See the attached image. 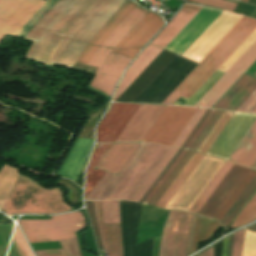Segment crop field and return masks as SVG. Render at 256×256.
I'll list each match as a JSON object with an SVG mask.
<instances>
[{"label": "crop field", "instance_id": "crop-field-59", "mask_svg": "<svg viewBox=\"0 0 256 256\" xmlns=\"http://www.w3.org/2000/svg\"><path fill=\"white\" fill-rule=\"evenodd\" d=\"M241 1H242V2H246V3H248V1H249V0H241Z\"/></svg>", "mask_w": 256, "mask_h": 256}, {"label": "crop field", "instance_id": "crop-field-27", "mask_svg": "<svg viewBox=\"0 0 256 256\" xmlns=\"http://www.w3.org/2000/svg\"><path fill=\"white\" fill-rule=\"evenodd\" d=\"M59 242L62 246V249L35 251L37 256H58V255L81 256L76 238L62 240Z\"/></svg>", "mask_w": 256, "mask_h": 256}, {"label": "crop field", "instance_id": "crop-field-50", "mask_svg": "<svg viewBox=\"0 0 256 256\" xmlns=\"http://www.w3.org/2000/svg\"><path fill=\"white\" fill-rule=\"evenodd\" d=\"M210 112V110H206V112L204 113V115L201 117V119L199 120V122L197 123V125L195 126V128L192 130V132L190 133V135L188 136V138L186 139V141L183 143V145L181 146L182 149H184V147L186 146V144L189 142V140L191 139V137L193 136V134L196 132V130L198 129V127L200 126V124L203 122V120L205 119V117L207 116V114Z\"/></svg>", "mask_w": 256, "mask_h": 256}, {"label": "crop field", "instance_id": "crop-field-6", "mask_svg": "<svg viewBox=\"0 0 256 256\" xmlns=\"http://www.w3.org/2000/svg\"><path fill=\"white\" fill-rule=\"evenodd\" d=\"M29 241H53L76 237L74 232L85 227L79 212L52 216V220H19Z\"/></svg>", "mask_w": 256, "mask_h": 256}, {"label": "crop field", "instance_id": "crop-field-11", "mask_svg": "<svg viewBox=\"0 0 256 256\" xmlns=\"http://www.w3.org/2000/svg\"><path fill=\"white\" fill-rule=\"evenodd\" d=\"M241 18L239 15L222 12L183 56L199 63Z\"/></svg>", "mask_w": 256, "mask_h": 256}, {"label": "crop field", "instance_id": "crop-field-31", "mask_svg": "<svg viewBox=\"0 0 256 256\" xmlns=\"http://www.w3.org/2000/svg\"><path fill=\"white\" fill-rule=\"evenodd\" d=\"M255 175H256V171L251 170L250 173L247 175V177L243 180L240 186L236 189V191L230 197V199L226 202L223 208L216 215L215 219H217L219 222L221 221V219L224 217V215L227 213L230 207L234 204V202L237 200V198L240 196V194L247 187V185L250 183V181L253 179Z\"/></svg>", "mask_w": 256, "mask_h": 256}, {"label": "crop field", "instance_id": "crop-field-35", "mask_svg": "<svg viewBox=\"0 0 256 256\" xmlns=\"http://www.w3.org/2000/svg\"><path fill=\"white\" fill-rule=\"evenodd\" d=\"M104 223H120L119 201L102 202Z\"/></svg>", "mask_w": 256, "mask_h": 256}, {"label": "crop field", "instance_id": "crop-field-25", "mask_svg": "<svg viewBox=\"0 0 256 256\" xmlns=\"http://www.w3.org/2000/svg\"><path fill=\"white\" fill-rule=\"evenodd\" d=\"M178 149L170 148L166 155L162 158L156 168L152 171L149 177L145 180L139 190L132 197L131 201L138 202L142 195L146 192L149 186L153 183L156 177L160 174L163 168L167 165L170 159L174 156Z\"/></svg>", "mask_w": 256, "mask_h": 256}, {"label": "crop field", "instance_id": "crop-field-60", "mask_svg": "<svg viewBox=\"0 0 256 256\" xmlns=\"http://www.w3.org/2000/svg\"><path fill=\"white\" fill-rule=\"evenodd\" d=\"M256 112V111H255Z\"/></svg>", "mask_w": 256, "mask_h": 256}, {"label": "crop field", "instance_id": "crop-field-36", "mask_svg": "<svg viewBox=\"0 0 256 256\" xmlns=\"http://www.w3.org/2000/svg\"><path fill=\"white\" fill-rule=\"evenodd\" d=\"M255 159H256V134L252 138V140L249 142V144L244 149V151L242 152V154L239 156V158L236 160L235 163L250 168V166L253 164Z\"/></svg>", "mask_w": 256, "mask_h": 256}, {"label": "crop field", "instance_id": "crop-field-7", "mask_svg": "<svg viewBox=\"0 0 256 256\" xmlns=\"http://www.w3.org/2000/svg\"><path fill=\"white\" fill-rule=\"evenodd\" d=\"M224 163V161L204 155L165 209L188 211Z\"/></svg>", "mask_w": 256, "mask_h": 256}, {"label": "crop field", "instance_id": "crop-field-21", "mask_svg": "<svg viewBox=\"0 0 256 256\" xmlns=\"http://www.w3.org/2000/svg\"><path fill=\"white\" fill-rule=\"evenodd\" d=\"M139 144H113L97 168L117 174Z\"/></svg>", "mask_w": 256, "mask_h": 256}, {"label": "crop field", "instance_id": "crop-field-54", "mask_svg": "<svg viewBox=\"0 0 256 256\" xmlns=\"http://www.w3.org/2000/svg\"><path fill=\"white\" fill-rule=\"evenodd\" d=\"M234 236V235H233ZM233 236L230 237V244H229V251L228 256H231V250H232V242H233Z\"/></svg>", "mask_w": 256, "mask_h": 256}, {"label": "crop field", "instance_id": "crop-field-26", "mask_svg": "<svg viewBox=\"0 0 256 256\" xmlns=\"http://www.w3.org/2000/svg\"><path fill=\"white\" fill-rule=\"evenodd\" d=\"M193 154L194 152H186V154L183 156V158L180 160V162L177 164V166L174 168V170L171 172L168 178L164 181V183L161 185V187L149 201L148 205H156V203L159 201V199L162 197V195L165 193V191L168 189V187L171 185L174 179L178 176V174L181 172V170L193 156Z\"/></svg>", "mask_w": 256, "mask_h": 256}, {"label": "crop field", "instance_id": "crop-field-22", "mask_svg": "<svg viewBox=\"0 0 256 256\" xmlns=\"http://www.w3.org/2000/svg\"><path fill=\"white\" fill-rule=\"evenodd\" d=\"M98 207L99 219L102 227L103 237L108 250V256H123L120 224L103 225L100 202H98Z\"/></svg>", "mask_w": 256, "mask_h": 256}, {"label": "crop field", "instance_id": "crop-field-34", "mask_svg": "<svg viewBox=\"0 0 256 256\" xmlns=\"http://www.w3.org/2000/svg\"><path fill=\"white\" fill-rule=\"evenodd\" d=\"M256 219V195L245 207L230 228H237Z\"/></svg>", "mask_w": 256, "mask_h": 256}, {"label": "crop field", "instance_id": "crop-field-44", "mask_svg": "<svg viewBox=\"0 0 256 256\" xmlns=\"http://www.w3.org/2000/svg\"><path fill=\"white\" fill-rule=\"evenodd\" d=\"M181 151H182L181 149L178 150V152L175 154V156L171 159V161L168 163V165L164 168V170L161 172V174L157 177V179L154 181V183L150 186V188L147 190V192L140 199V201H139L140 203L144 202V200L147 198V196L150 194V192L153 190V188L156 186V184L159 182V180L162 178V176L166 173V171L169 169V167L172 165V163L175 161V159L181 153Z\"/></svg>", "mask_w": 256, "mask_h": 256}, {"label": "crop field", "instance_id": "crop-field-41", "mask_svg": "<svg viewBox=\"0 0 256 256\" xmlns=\"http://www.w3.org/2000/svg\"><path fill=\"white\" fill-rule=\"evenodd\" d=\"M187 1L208 5V6L224 9V10H230V11H234L235 7L237 6L236 3H232L225 0H187Z\"/></svg>", "mask_w": 256, "mask_h": 256}, {"label": "crop field", "instance_id": "crop-field-5", "mask_svg": "<svg viewBox=\"0 0 256 256\" xmlns=\"http://www.w3.org/2000/svg\"><path fill=\"white\" fill-rule=\"evenodd\" d=\"M135 6V4L126 1L107 22V24L102 28V30L87 44L77 62L88 65L96 51L112 34V32L119 26V24L126 18V16L133 10ZM144 12L145 10L136 6L134 10L127 16V18L120 24V26L113 32V34L97 51V53L94 55L91 62L89 63V66L99 68L100 64L111 51V49L134 25V23L142 16Z\"/></svg>", "mask_w": 256, "mask_h": 256}, {"label": "crop field", "instance_id": "crop-field-14", "mask_svg": "<svg viewBox=\"0 0 256 256\" xmlns=\"http://www.w3.org/2000/svg\"><path fill=\"white\" fill-rule=\"evenodd\" d=\"M249 171L250 169L234 164L198 214L214 218Z\"/></svg>", "mask_w": 256, "mask_h": 256}, {"label": "crop field", "instance_id": "crop-field-58", "mask_svg": "<svg viewBox=\"0 0 256 256\" xmlns=\"http://www.w3.org/2000/svg\"><path fill=\"white\" fill-rule=\"evenodd\" d=\"M206 254H207V251H205V252L199 254V256H206Z\"/></svg>", "mask_w": 256, "mask_h": 256}, {"label": "crop field", "instance_id": "crop-field-48", "mask_svg": "<svg viewBox=\"0 0 256 256\" xmlns=\"http://www.w3.org/2000/svg\"><path fill=\"white\" fill-rule=\"evenodd\" d=\"M196 219H197V216L193 214L192 222H191V227H190V233H189L188 247H187V254H186V256L191 254L193 237H194V231H195V225H196Z\"/></svg>", "mask_w": 256, "mask_h": 256}, {"label": "crop field", "instance_id": "crop-field-19", "mask_svg": "<svg viewBox=\"0 0 256 256\" xmlns=\"http://www.w3.org/2000/svg\"><path fill=\"white\" fill-rule=\"evenodd\" d=\"M201 9L202 7L185 4L176 17L151 43L164 48Z\"/></svg>", "mask_w": 256, "mask_h": 256}, {"label": "crop field", "instance_id": "crop-field-2", "mask_svg": "<svg viewBox=\"0 0 256 256\" xmlns=\"http://www.w3.org/2000/svg\"><path fill=\"white\" fill-rule=\"evenodd\" d=\"M168 147L140 144L117 175L106 172L86 199L130 200L168 151Z\"/></svg>", "mask_w": 256, "mask_h": 256}, {"label": "crop field", "instance_id": "crop-field-4", "mask_svg": "<svg viewBox=\"0 0 256 256\" xmlns=\"http://www.w3.org/2000/svg\"><path fill=\"white\" fill-rule=\"evenodd\" d=\"M256 28V20L243 17L237 25L222 39V41L178 86L174 93L189 99L191 95L207 80L226 58L250 35ZM212 63V64H211ZM215 67L213 69V67ZM213 69V71H211ZM172 93L163 103L174 104L180 97Z\"/></svg>", "mask_w": 256, "mask_h": 256}, {"label": "crop field", "instance_id": "crop-field-20", "mask_svg": "<svg viewBox=\"0 0 256 256\" xmlns=\"http://www.w3.org/2000/svg\"><path fill=\"white\" fill-rule=\"evenodd\" d=\"M162 49L149 44L137 57L122 79L113 101L141 74V72L156 58Z\"/></svg>", "mask_w": 256, "mask_h": 256}, {"label": "crop field", "instance_id": "crop-field-49", "mask_svg": "<svg viewBox=\"0 0 256 256\" xmlns=\"http://www.w3.org/2000/svg\"><path fill=\"white\" fill-rule=\"evenodd\" d=\"M215 113L214 110H211V112L209 113V115L206 117V119L204 120V122L202 123V125L199 127V129L197 130V132L195 133V135L192 137V139L190 140V142L188 143V145L185 147V149H189V147L192 145V143L194 142V140L197 138V136L199 135V133L202 131V129L205 127V125L207 124V122L210 120V118L212 117V115Z\"/></svg>", "mask_w": 256, "mask_h": 256}, {"label": "crop field", "instance_id": "crop-field-23", "mask_svg": "<svg viewBox=\"0 0 256 256\" xmlns=\"http://www.w3.org/2000/svg\"><path fill=\"white\" fill-rule=\"evenodd\" d=\"M111 145L112 144H97L92 154L87 171L85 198L105 173V171H102L95 167L105 155V153L108 151V149L111 147Z\"/></svg>", "mask_w": 256, "mask_h": 256}, {"label": "crop field", "instance_id": "crop-field-38", "mask_svg": "<svg viewBox=\"0 0 256 256\" xmlns=\"http://www.w3.org/2000/svg\"><path fill=\"white\" fill-rule=\"evenodd\" d=\"M242 256H256V233L246 230Z\"/></svg>", "mask_w": 256, "mask_h": 256}, {"label": "crop field", "instance_id": "crop-field-57", "mask_svg": "<svg viewBox=\"0 0 256 256\" xmlns=\"http://www.w3.org/2000/svg\"><path fill=\"white\" fill-rule=\"evenodd\" d=\"M208 256H213V251L210 252V249H208Z\"/></svg>", "mask_w": 256, "mask_h": 256}, {"label": "crop field", "instance_id": "crop-field-39", "mask_svg": "<svg viewBox=\"0 0 256 256\" xmlns=\"http://www.w3.org/2000/svg\"><path fill=\"white\" fill-rule=\"evenodd\" d=\"M256 133V121L254 122V124L251 126V128L249 129V131L246 133V135L244 136V138L241 140V142L238 144V146L236 147V149L233 151V153L231 154V156L228 158L229 161H233L235 162V160L238 158V156L241 154V152L243 151V149L246 147V145L248 144V142L251 140V138L254 136V134Z\"/></svg>", "mask_w": 256, "mask_h": 256}, {"label": "crop field", "instance_id": "crop-field-42", "mask_svg": "<svg viewBox=\"0 0 256 256\" xmlns=\"http://www.w3.org/2000/svg\"><path fill=\"white\" fill-rule=\"evenodd\" d=\"M85 204L88 208V212H89L91 221L93 223L94 232H95V236H96V239H97V242H98L99 250L102 251L103 249H102V246H101L100 235H99V231H98V227H97V223H96V217H95L93 202L85 201Z\"/></svg>", "mask_w": 256, "mask_h": 256}, {"label": "crop field", "instance_id": "crop-field-1", "mask_svg": "<svg viewBox=\"0 0 256 256\" xmlns=\"http://www.w3.org/2000/svg\"><path fill=\"white\" fill-rule=\"evenodd\" d=\"M63 0L30 30L26 57L72 68L86 44L125 0Z\"/></svg>", "mask_w": 256, "mask_h": 256}, {"label": "crop field", "instance_id": "crop-field-45", "mask_svg": "<svg viewBox=\"0 0 256 256\" xmlns=\"http://www.w3.org/2000/svg\"><path fill=\"white\" fill-rule=\"evenodd\" d=\"M237 110L249 112H254L256 110V90Z\"/></svg>", "mask_w": 256, "mask_h": 256}, {"label": "crop field", "instance_id": "crop-field-51", "mask_svg": "<svg viewBox=\"0 0 256 256\" xmlns=\"http://www.w3.org/2000/svg\"><path fill=\"white\" fill-rule=\"evenodd\" d=\"M94 204H95V210H96L97 222H98V226H99V230H100V234H101L102 245H103V247H104V250H106L105 243H104V240H103V237H102V232H101V227H100L99 219H98V208H97V202H95V201H94Z\"/></svg>", "mask_w": 256, "mask_h": 256}, {"label": "crop field", "instance_id": "crop-field-28", "mask_svg": "<svg viewBox=\"0 0 256 256\" xmlns=\"http://www.w3.org/2000/svg\"><path fill=\"white\" fill-rule=\"evenodd\" d=\"M234 113L230 112H224V114L221 116V118L218 120L216 125L213 127L211 132L208 134V136L205 138L203 143L198 148L197 152H201L206 154V152L209 150L211 145L214 143L216 138L219 136L223 128L226 126L228 121L231 119Z\"/></svg>", "mask_w": 256, "mask_h": 256}, {"label": "crop field", "instance_id": "crop-field-17", "mask_svg": "<svg viewBox=\"0 0 256 256\" xmlns=\"http://www.w3.org/2000/svg\"><path fill=\"white\" fill-rule=\"evenodd\" d=\"M220 13V11L204 8L166 50L178 55L182 54Z\"/></svg>", "mask_w": 256, "mask_h": 256}, {"label": "crop field", "instance_id": "crop-field-16", "mask_svg": "<svg viewBox=\"0 0 256 256\" xmlns=\"http://www.w3.org/2000/svg\"><path fill=\"white\" fill-rule=\"evenodd\" d=\"M139 105L112 103L97 130V142H114Z\"/></svg>", "mask_w": 256, "mask_h": 256}, {"label": "crop field", "instance_id": "crop-field-15", "mask_svg": "<svg viewBox=\"0 0 256 256\" xmlns=\"http://www.w3.org/2000/svg\"><path fill=\"white\" fill-rule=\"evenodd\" d=\"M165 108L140 105L115 142H142Z\"/></svg>", "mask_w": 256, "mask_h": 256}, {"label": "crop field", "instance_id": "crop-field-9", "mask_svg": "<svg viewBox=\"0 0 256 256\" xmlns=\"http://www.w3.org/2000/svg\"><path fill=\"white\" fill-rule=\"evenodd\" d=\"M192 214L170 211L161 239L159 256H185Z\"/></svg>", "mask_w": 256, "mask_h": 256}, {"label": "crop field", "instance_id": "crop-field-47", "mask_svg": "<svg viewBox=\"0 0 256 256\" xmlns=\"http://www.w3.org/2000/svg\"><path fill=\"white\" fill-rule=\"evenodd\" d=\"M185 152H186L185 150L182 151V153L179 155V157L176 159V161L173 163V165L170 167V169L167 171V173L164 175V177L160 180V182L157 184V186L154 188V190L151 192V194L145 200V202H144L145 204L148 203V201L151 199V197L154 195V193L157 191V189L160 187V185L163 183V181L166 179V177L170 174V172L173 170V168L176 166V164L179 162V160L185 154Z\"/></svg>", "mask_w": 256, "mask_h": 256}, {"label": "crop field", "instance_id": "crop-field-53", "mask_svg": "<svg viewBox=\"0 0 256 256\" xmlns=\"http://www.w3.org/2000/svg\"><path fill=\"white\" fill-rule=\"evenodd\" d=\"M247 72H250L254 74L256 72V61L253 63V65L247 70Z\"/></svg>", "mask_w": 256, "mask_h": 256}, {"label": "crop field", "instance_id": "crop-field-56", "mask_svg": "<svg viewBox=\"0 0 256 256\" xmlns=\"http://www.w3.org/2000/svg\"><path fill=\"white\" fill-rule=\"evenodd\" d=\"M251 169L256 170V161H255L254 164L251 166Z\"/></svg>", "mask_w": 256, "mask_h": 256}, {"label": "crop field", "instance_id": "crop-field-29", "mask_svg": "<svg viewBox=\"0 0 256 256\" xmlns=\"http://www.w3.org/2000/svg\"><path fill=\"white\" fill-rule=\"evenodd\" d=\"M255 189H256V176L248 185V187L244 190V192L241 194V196L238 198V200L231 207V209L228 211V213L225 215V217L222 219L220 223L224 224L227 227L228 224L232 221V219L235 217L238 211L242 208V206L245 204V202L248 200V198L251 196V194Z\"/></svg>", "mask_w": 256, "mask_h": 256}, {"label": "crop field", "instance_id": "crop-field-8", "mask_svg": "<svg viewBox=\"0 0 256 256\" xmlns=\"http://www.w3.org/2000/svg\"><path fill=\"white\" fill-rule=\"evenodd\" d=\"M197 109L167 106L143 142L172 146Z\"/></svg>", "mask_w": 256, "mask_h": 256}, {"label": "crop field", "instance_id": "crop-field-30", "mask_svg": "<svg viewBox=\"0 0 256 256\" xmlns=\"http://www.w3.org/2000/svg\"><path fill=\"white\" fill-rule=\"evenodd\" d=\"M232 163L226 162L225 165L222 167V169L218 172V174L215 176V178L211 181V183L208 185V187L204 190V192L200 195V197L197 199V201L193 204V206L190 208L189 211L191 212H197V210L200 208V206L204 203V201L207 199V197L211 194V192L214 190V188L218 185V183L222 180V178L225 176V174L229 171V169L232 167Z\"/></svg>", "mask_w": 256, "mask_h": 256}, {"label": "crop field", "instance_id": "crop-field-55", "mask_svg": "<svg viewBox=\"0 0 256 256\" xmlns=\"http://www.w3.org/2000/svg\"><path fill=\"white\" fill-rule=\"evenodd\" d=\"M247 229H249V230H253V231H256V225L251 226V227H248Z\"/></svg>", "mask_w": 256, "mask_h": 256}, {"label": "crop field", "instance_id": "crop-field-24", "mask_svg": "<svg viewBox=\"0 0 256 256\" xmlns=\"http://www.w3.org/2000/svg\"><path fill=\"white\" fill-rule=\"evenodd\" d=\"M202 156V154H194V156L191 158V160L188 162V164L185 166V168L182 170V172L179 174L176 180L172 183V185L169 187V189L157 203V207H165V205L168 203V201L171 199V197L174 195V193L177 191V189L180 187L183 181L187 178V176L190 174V172L202 158Z\"/></svg>", "mask_w": 256, "mask_h": 256}, {"label": "crop field", "instance_id": "crop-field-13", "mask_svg": "<svg viewBox=\"0 0 256 256\" xmlns=\"http://www.w3.org/2000/svg\"><path fill=\"white\" fill-rule=\"evenodd\" d=\"M255 60L256 41L218 80V82L202 97V99L195 106L201 107L199 106L200 104H202L203 102H207L203 107L211 108Z\"/></svg>", "mask_w": 256, "mask_h": 256}, {"label": "crop field", "instance_id": "crop-field-46", "mask_svg": "<svg viewBox=\"0 0 256 256\" xmlns=\"http://www.w3.org/2000/svg\"><path fill=\"white\" fill-rule=\"evenodd\" d=\"M14 236H15L20 248L22 249L24 255L25 256H33L18 227H16V229H15Z\"/></svg>", "mask_w": 256, "mask_h": 256}, {"label": "crop field", "instance_id": "crop-field-52", "mask_svg": "<svg viewBox=\"0 0 256 256\" xmlns=\"http://www.w3.org/2000/svg\"><path fill=\"white\" fill-rule=\"evenodd\" d=\"M228 238H229V237H228ZM228 238L224 239L223 256H227V250H228Z\"/></svg>", "mask_w": 256, "mask_h": 256}, {"label": "crop field", "instance_id": "crop-field-18", "mask_svg": "<svg viewBox=\"0 0 256 256\" xmlns=\"http://www.w3.org/2000/svg\"><path fill=\"white\" fill-rule=\"evenodd\" d=\"M245 73L256 78L252 74ZM246 74L237 81L213 108L236 110L244 102L256 89V79Z\"/></svg>", "mask_w": 256, "mask_h": 256}, {"label": "crop field", "instance_id": "crop-field-43", "mask_svg": "<svg viewBox=\"0 0 256 256\" xmlns=\"http://www.w3.org/2000/svg\"><path fill=\"white\" fill-rule=\"evenodd\" d=\"M244 231L245 230L242 229V230L235 233L234 242H233L232 256H241Z\"/></svg>", "mask_w": 256, "mask_h": 256}, {"label": "crop field", "instance_id": "crop-field-37", "mask_svg": "<svg viewBox=\"0 0 256 256\" xmlns=\"http://www.w3.org/2000/svg\"><path fill=\"white\" fill-rule=\"evenodd\" d=\"M204 112H205V110L198 109V111L195 113L193 118L190 120V122L188 123L186 128L183 130L181 135L178 137L176 142L173 144L174 147L180 148V146L185 141V139L187 138V136L189 135L191 130L194 128V126L196 125V123L198 122V120L200 119V117L203 115Z\"/></svg>", "mask_w": 256, "mask_h": 256}, {"label": "crop field", "instance_id": "crop-field-40", "mask_svg": "<svg viewBox=\"0 0 256 256\" xmlns=\"http://www.w3.org/2000/svg\"><path fill=\"white\" fill-rule=\"evenodd\" d=\"M223 114V112L220 111H216V113L213 115V117L211 118V120L208 122V124L206 125V127L203 129V131L200 133V135L198 136V138L195 140V142L193 143V145L190 147L191 150L196 151V149L199 147V145L202 143V141L204 140V138L207 136V134L209 133V131L212 129V127L215 125V123L217 122V120L220 118V116ZM198 150V149H197Z\"/></svg>", "mask_w": 256, "mask_h": 256}, {"label": "crop field", "instance_id": "crop-field-12", "mask_svg": "<svg viewBox=\"0 0 256 256\" xmlns=\"http://www.w3.org/2000/svg\"><path fill=\"white\" fill-rule=\"evenodd\" d=\"M255 119L253 114L235 113L207 155L227 160Z\"/></svg>", "mask_w": 256, "mask_h": 256}, {"label": "crop field", "instance_id": "crop-field-33", "mask_svg": "<svg viewBox=\"0 0 256 256\" xmlns=\"http://www.w3.org/2000/svg\"><path fill=\"white\" fill-rule=\"evenodd\" d=\"M256 40V29L252 34L229 56V58L219 67L227 71L232 64L247 50V48Z\"/></svg>", "mask_w": 256, "mask_h": 256}, {"label": "crop field", "instance_id": "crop-field-3", "mask_svg": "<svg viewBox=\"0 0 256 256\" xmlns=\"http://www.w3.org/2000/svg\"><path fill=\"white\" fill-rule=\"evenodd\" d=\"M162 25L163 22L160 17L146 11L114 47L112 52L133 59L136 53L151 39ZM112 52L103 61L95 78L89 84L108 96H111L119 76L131 61V59Z\"/></svg>", "mask_w": 256, "mask_h": 256}, {"label": "crop field", "instance_id": "crop-field-10", "mask_svg": "<svg viewBox=\"0 0 256 256\" xmlns=\"http://www.w3.org/2000/svg\"><path fill=\"white\" fill-rule=\"evenodd\" d=\"M45 0H1L0 41L7 34L15 36Z\"/></svg>", "mask_w": 256, "mask_h": 256}, {"label": "crop field", "instance_id": "crop-field-32", "mask_svg": "<svg viewBox=\"0 0 256 256\" xmlns=\"http://www.w3.org/2000/svg\"><path fill=\"white\" fill-rule=\"evenodd\" d=\"M223 74L224 72L217 69L184 105L194 106Z\"/></svg>", "mask_w": 256, "mask_h": 256}]
</instances>
